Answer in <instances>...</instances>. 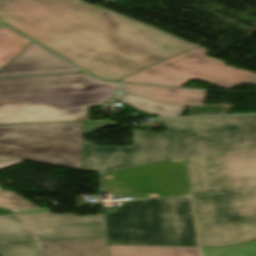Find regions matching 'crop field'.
Wrapping results in <instances>:
<instances>
[{"mask_svg":"<svg viewBox=\"0 0 256 256\" xmlns=\"http://www.w3.org/2000/svg\"><path fill=\"white\" fill-rule=\"evenodd\" d=\"M120 85L86 73L0 78V124L84 120Z\"/></svg>","mask_w":256,"mask_h":256,"instance_id":"crop-field-3","label":"crop field"},{"mask_svg":"<svg viewBox=\"0 0 256 256\" xmlns=\"http://www.w3.org/2000/svg\"><path fill=\"white\" fill-rule=\"evenodd\" d=\"M111 256H256V242L224 248L109 245Z\"/></svg>","mask_w":256,"mask_h":256,"instance_id":"crop-field-9","label":"crop field"},{"mask_svg":"<svg viewBox=\"0 0 256 256\" xmlns=\"http://www.w3.org/2000/svg\"><path fill=\"white\" fill-rule=\"evenodd\" d=\"M78 72L83 71L32 42L0 70V77Z\"/></svg>","mask_w":256,"mask_h":256,"instance_id":"crop-field-8","label":"crop field"},{"mask_svg":"<svg viewBox=\"0 0 256 256\" xmlns=\"http://www.w3.org/2000/svg\"><path fill=\"white\" fill-rule=\"evenodd\" d=\"M30 42L32 41L22 37L13 30L0 26V69Z\"/></svg>","mask_w":256,"mask_h":256,"instance_id":"crop-field-13","label":"crop field"},{"mask_svg":"<svg viewBox=\"0 0 256 256\" xmlns=\"http://www.w3.org/2000/svg\"><path fill=\"white\" fill-rule=\"evenodd\" d=\"M20 163H22V161L0 158V170L16 166ZM0 190H1V188H0Z\"/></svg>","mask_w":256,"mask_h":256,"instance_id":"crop-field-17","label":"crop field"},{"mask_svg":"<svg viewBox=\"0 0 256 256\" xmlns=\"http://www.w3.org/2000/svg\"><path fill=\"white\" fill-rule=\"evenodd\" d=\"M207 52L198 47L119 81L180 87L201 80L228 90L241 83L256 85V74L224 66L225 62L205 56Z\"/></svg>","mask_w":256,"mask_h":256,"instance_id":"crop-field-6","label":"crop field"},{"mask_svg":"<svg viewBox=\"0 0 256 256\" xmlns=\"http://www.w3.org/2000/svg\"><path fill=\"white\" fill-rule=\"evenodd\" d=\"M1 1H4V0H0V2H1Z\"/></svg>","mask_w":256,"mask_h":256,"instance_id":"crop-field-22","label":"crop field"},{"mask_svg":"<svg viewBox=\"0 0 256 256\" xmlns=\"http://www.w3.org/2000/svg\"><path fill=\"white\" fill-rule=\"evenodd\" d=\"M105 214L109 244L198 246L189 197L123 201Z\"/></svg>","mask_w":256,"mask_h":256,"instance_id":"crop-field-4","label":"crop field"},{"mask_svg":"<svg viewBox=\"0 0 256 256\" xmlns=\"http://www.w3.org/2000/svg\"><path fill=\"white\" fill-rule=\"evenodd\" d=\"M83 122L0 126V157L83 170Z\"/></svg>","mask_w":256,"mask_h":256,"instance_id":"crop-field-5","label":"crop field"},{"mask_svg":"<svg viewBox=\"0 0 256 256\" xmlns=\"http://www.w3.org/2000/svg\"><path fill=\"white\" fill-rule=\"evenodd\" d=\"M254 241H256V239Z\"/></svg>","mask_w":256,"mask_h":256,"instance_id":"crop-field-23","label":"crop field"},{"mask_svg":"<svg viewBox=\"0 0 256 256\" xmlns=\"http://www.w3.org/2000/svg\"><path fill=\"white\" fill-rule=\"evenodd\" d=\"M188 195H190V194H186V196H188Z\"/></svg>","mask_w":256,"mask_h":256,"instance_id":"crop-field-21","label":"crop field"},{"mask_svg":"<svg viewBox=\"0 0 256 256\" xmlns=\"http://www.w3.org/2000/svg\"><path fill=\"white\" fill-rule=\"evenodd\" d=\"M121 91L175 105H202L204 91L124 84Z\"/></svg>","mask_w":256,"mask_h":256,"instance_id":"crop-field-11","label":"crop field"},{"mask_svg":"<svg viewBox=\"0 0 256 256\" xmlns=\"http://www.w3.org/2000/svg\"><path fill=\"white\" fill-rule=\"evenodd\" d=\"M1 256H40L36 242L0 244Z\"/></svg>","mask_w":256,"mask_h":256,"instance_id":"crop-field-15","label":"crop field"},{"mask_svg":"<svg viewBox=\"0 0 256 256\" xmlns=\"http://www.w3.org/2000/svg\"><path fill=\"white\" fill-rule=\"evenodd\" d=\"M170 132L135 130L134 147L85 139L84 170L105 173L109 198L192 194L200 246L256 238V122L234 116L158 119Z\"/></svg>","mask_w":256,"mask_h":256,"instance_id":"crop-field-1","label":"crop field"},{"mask_svg":"<svg viewBox=\"0 0 256 256\" xmlns=\"http://www.w3.org/2000/svg\"><path fill=\"white\" fill-rule=\"evenodd\" d=\"M241 123L256 121V115L235 116Z\"/></svg>","mask_w":256,"mask_h":256,"instance_id":"crop-field-18","label":"crop field"},{"mask_svg":"<svg viewBox=\"0 0 256 256\" xmlns=\"http://www.w3.org/2000/svg\"><path fill=\"white\" fill-rule=\"evenodd\" d=\"M115 100L130 104L139 111L160 117L180 116L186 106H174L171 104L154 101L123 92L117 94Z\"/></svg>","mask_w":256,"mask_h":256,"instance_id":"crop-field-12","label":"crop field"},{"mask_svg":"<svg viewBox=\"0 0 256 256\" xmlns=\"http://www.w3.org/2000/svg\"><path fill=\"white\" fill-rule=\"evenodd\" d=\"M0 206L11 209L38 208L14 191H0Z\"/></svg>","mask_w":256,"mask_h":256,"instance_id":"crop-field-16","label":"crop field"},{"mask_svg":"<svg viewBox=\"0 0 256 256\" xmlns=\"http://www.w3.org/2000/svg\"><path fill=\"white\" fill-rule=\"evenodd\" d=\"M0 20L101 79L198 47L82 0H11L0 5Z\"/></svg>","mask_w":256,"mask_h":256,"instance_id":"crop-field-2","label":"crop field"},{"mask_svg":"<svg viewBox=\"0 0 256 256\" xmlns=\"http://www.w3.org/2000/svg\"><path fill=\"white\" fill-rule=\"evenodd\" d=\"M24 225L17 215L0 216V243L35 241Z\"/></svg>","mask_w":256,"mask_h":256,"instance_id":"crop-field-14","label":"crop field"},{"mask_svg":"<svg viewBox=\"0 0 256 256\" xmlns=\"http://www.w3.org/2000/svg\"><path fill=\"white\" fill-rule=\"evenodd\" d=\"M44 256H110L106 238L40 241Z\"/></svg>","mask_w":256,"mask_h":256,"instance_id":"crop-field-10","label":"crop field"},{"mask_svg":"<svg viewBox=\"0 0 256 256\" xmlns=\"http://www.w3.org/2000/svg\"><path fill=\"white\" fill-rule=\"evenodd\" d=\"M20 214H28V213H43L49 212L48 209H41V210H29V211H18Z\"/></svg>","mask_w":256,"mask_h":256,"instance_id":"crop-field-19","label":"crop field"},{"mask_svg":"<svg viewBox=\"0 0 256 256\" xmlns=\"http://www.w3.org/2000/svg\"><path fill=\"white\" fill-rule=\"evenodd\" d=\"M9 214H15V213L8 209L0 208V215H9Z\"/></svg>","mask_w":256,"mask_h":256,"instance_id":"crop-field-20","label":"crop field"},{"mask_svg":"<svg viewBox=\"0 0 256 256\" xmlns=\"http://www.w3.org/2000/svg\"><path fill=\"white\" fill-rule=\"evenodd\" d=\"M22 217L39 240L107 236L103 215L43 213Z\"/></svg>","mask_w":256,"mask_h":256,"instance_id":"crop-field-7","label":"crop field"}]
</instances>
